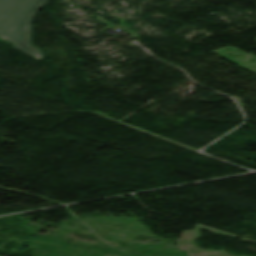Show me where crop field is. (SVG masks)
Here are the masks:
<instances>
[{
    "label": "crop field",
    "mask_w": 256,
    "mask_h": 256,
    "mask_svg": "<svg viewBox=\"0 0 256 256\" xmlns=\"http://www.w3.org/2000/svg\"><path fill=\"white\" fill-rule=\"evenodd\" d=\"M47 0H0V38L39 60L41 49L32 44V18Z\"/></svg>",
    "instance_id": "obj_1"
}]
</instances>
